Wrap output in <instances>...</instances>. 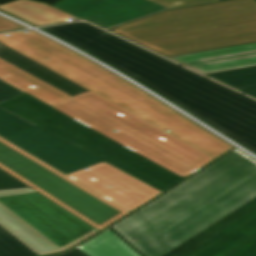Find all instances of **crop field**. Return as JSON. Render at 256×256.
Here are the masks:
<instances>
[{
    "mask_svg": "<svg viewBox=\"0 0 256 256\" xmlns=\"http://www.w3.org/2000/svg\"><path fill=\"white\" fill-rule=\"evenodd\" d=\"M0 78L26 92L0 108L35 125L4 139L65 175L104 161L163 192L214 160L90 91L71 98L2 59Z\"/></svg>",
    "mask_w": 256,
    "mask_h": 256,
    "instance_id": "obj_1",
    "label": "crop field"
},
{
    "mask_svg": "<svg viewBox=\"0 0 256 256\" xmlns=\"http://www.w3.org/2000/svg\"><path fill=\"white\" fill-rule=\"evenodd\" d=\"M255 196L256 161L235 149L111 228L162 256Z\"/></svg>",
    "mask_w": 256,
    "mask_h": 256,
    "instance_id": "obj_2",
    "label": "crop field"
},
{
    "mask_svg": "<svg viewBox=\"0 0 256 256\" xmlns=\"http://www.w3.org/2000/svg\"><path fill=\"white\" fill-rule=\"evenodd\" d=\"M27 31L30 33H7L10 37L1 34L0 42L157 128L172 132L170 135L214 159L234 147L94 62L32 30Z\"/></svg>",
    "mask_w": 256,
    "mask_h": 256,
    "instance_id": "obj_3",
    "label": "crop field"
},
{
    "mask_svg": "<svg viewBox=\"0 0 256 256\" xmlns=\"http://www.w3.org/2000/svg\"><path fill=\"white\" fill-rule=\"evenodd\" d=\"M238 143L256 134V101L170 61L136 77Z\"/></svg>",
    "mask_w": 256,
    "mask_h": 256,
    "instance_id": "obj_4",
    "label": "crop field"
},
{
    "mask_svg": "<svg viewBox=\"0 0 256 256\" xmlns=\"http://www.w3.org/2000/svg\"><path fill=\"white\" fill-rule=\"evenodd\" d=\"M0 225L38 255L62 252L100 232L30 188L0 190Z\"/></svg>",
    "mask_w": 256,
    "mask_h": 256,
    "instance_id": "obj_5",
    "label": "crop field"
},
{
    "mask_svg": "<svg viewBox=\"0 0 256 256\" xmlns=\"http://www.w3.org/2000/svg\"><path fill=\"white\" fill-rule=\"evenodd\" d=\"M0 169L100 231L129 214L1 137Z\"/></svg>",
    "mask_w": 256,
    "mask_h": 256,
    "instance_id": "obj_6",
    "label": "crop field"
},
{
    "mask_svg": "<svg viewBox=\"0 0 256 256\" xmlns=\"http://www.w3.org/2000/svg\"><path fill=\"white\" fill-rule=\"evenodd\" d=\"M166 57L256 42V15L126 37Z\"/></svg>",
    "mask_w": 256,
    "mask_h": 256,
    "instance_id": "obj_7",
    "label": "crop field"
},
{
    "mask_svg": "<svg viewBox=\"0 0 256 256\" xmlns=\"http://www.w3.org/2000/svg\"><path fill=\"white\" fill-rule=\"evenodd\" d=\"M163 256H256V197Z\"/></svg>",
    "mask_w": 256,
    "mask_h": 256,
    "instance_id": "obj_8",
    "label": "crop field"
},
{
    "mask_svg": "<svg viewBox=\"0 0 256 256\" xmlns=\"http://www.w3.org/2000/svg\"><path fill=\"white\" fill-rule=\"evenodd\" d=\"M41 29L131 77L167 61L89 23L75 22Z\"/></svg>",
    "mask_w": 256,
    "mask_h": 256,
    "instance_id": "obj_9",
    "label": "crop field"
},
{
    "mask_svg": "<svg viewBox=\"0 0 256 256\" xmlns=\"http://www.w3.org/2000/svg\"><path fill=\"white\" fill-rule=\"evenodd\" d=\"M256 14V0H230L171 10L111 31L126 37Z\"/></svg>",
    "mask_w": 256,
    "mask_h": 256,
    "instance_id": "obj_10",
    "label": "crop field"
},
{
    "mask_svg": "<svg viewBox=\"0 0 256 256\" xmlns=\"http://www.w3.org/2000/svg\"><path fill=\"white\" fill-rule=\"evenodd\" d=\"M67 177L82 184L129 213L161 192L102 162ZM113 186L112 188H108Z\"/></svg>",
    "mask_w": 256,
    "mask_h": 256,
    "instance_id": "obj_11",
    "label": "crop field"
},
{
    "mask_svg": "<svg viewBox=\"0 0 256 256\" xmlns=\"http://www.w3.org/2000/svg\"><path fill=\"white\" fill-rule=\"evenodd\" d=\"M54 7L104 29L167 10L148 0H63Z\"/></svg>",
    "mask_w": 256,
    "mask_h": 256,
    "instance_id": "obj_12",
    "label": "crop field"
},
{
    "mask_svg": "<svg viewBox=\"0 0 256 256\" xmlns=\"http://www.w3.org/2000/svg\"><path fill=\"white\" fill-rule=\"evenodd\" d=\"M204 74L256 65V43L171 57Z\"/></svg>",
    "mask_w": 256,
    "mask_h": 256,
    "instance_id": "obj_13",
    "label": "crop field"
},
{
    "mask_svg": "<svg viewBox=\"0 0 256 256\" xmlns=\"http://www.w3.org/2000/svg\"><path fill=\"white\" fill-rule=\"evenodd\" d=\"M0 58L74 97L88 91L52 70L0 43Z\"/></svg>",
    "mask_w": 256,
    "mask_h": 256,
    "instance_id": "obj_14",
    "label": "crop field"
},
{
    "mask_svg": "<svg viewBox=\"0 0 256 256\" xmlns=\"http://www.w3.org/2000/svg\"><path fill=\"white\" fill-rule=\"evenodd\" d=\"M0 9L36 26L66 22L70 21L69 18L79 20L45 3L31 0H19L0 6Z\"/></svg>",
    "mask_w": 256,
    "mask_h": 256,
    "instance_id": "obj_15",
    "label": "crop field"
},
{
    "mask_svg": "<svg viewBox=\"0 0 256 256\" xmlns=\"http://www.w3.org/2000/svg\"><path fill=\"white\" fill-rule=\"evenodd\" d=\"M78 248L89 256H140L110 229Z\"/></svg>",
    "mask_w": 256,
    "mask_h": 256,
    "instance_id": "obj_16",
    "label": "crop field"
},
{
    "mask_svg": "<svg viewBox=\"0 0 256 256\" xmlns=\"http://www.w3.org/2000/svg\"><path fill=\"white\" fill-rule=\"evenodd\" d=\"M207 75L235 88L256 86V66Z\"/></svg>",
    "mask_w": 256,
    "mask_h": 256,
    "instance_id": "obj_17",
    "label": "crop field"
},
{
    "mask_svg": "<svg viewBox=\"0 0 256 256\" xmlns=\"http://www.w3.org/2000/svg\"><path fill=\"white\" fill-rule=\"evenodd\" d=\"M0 256H38L0 226Z\"/></svg>",
    "mask_w": 256,
    "mask_h": 256,
    "instance_id": "obj_18",
    "label": "crop field"
},
{
    "mask_svg": "<svg viewBox=\"0 0 256 256\" xmlns=\"http://www.w3.org/2000/svg\"><path fill=\"white\" fill-rule=\"evenodd\" d=\"M30 126L33 125L0 109V136L4 137Z\"/></svg>",
    "mask_w": 256,
    "mask_h": 256,
    "instance_id": "obj_19",
    "label": "crop field"
},
{
    "mask_svg": "<svg viewBox=\"0 0 256 256\" xmlns=\"http://www.w3.org/2000/svg\"><path fill=\"white\" fill-rule=\"evenodd\" d=\"M150 1L155 2L167 9H171V8L183 7V6L206 3V2L217 1V0H150Z\"/></svg>",
    "mask_w": 256,
    "mask_h": 256,
    "instance_id": "obj_20",
    "label": "crop field"
},
{
    "mask_svg": "<svg viewBox=\"0 0 256 256\" xmlns=\"http://www.w3.org/2000/svg\"><path fill=\"white\" fill-rule=\"evenodd\" d=\"M28 187L19 180L13 178L7 173L0 170V189L23 188Z\"/></svg>",
    "mask_w": 256,
    "mask_h": 256,
    "instance_id": "obj_21",
    "label": "crop field"
},
{
    "mask_svg": "<svg viewBox=\"0 0 256 256\" xmlns=\"http://www.w3.org/2000/svg\"><path fill=\"white\" fill-rule=\"evenodd\" d=\"M21 94L23 93L0 80V103Z\"/></svg>",
    "mask_w": 256,
    "mask_h": 256,
    "instance_id": "obj_22",
    "label": "crop field"
},
{
    "mask_svg": "<svg viewBox=\"0 0 256 256\" xmlns=\"http://www.w3.org/2000/svg\"><path fill=\"white\" fill-rule=\"evenodd\" d=\"M25 29V27L0 17V32Z\"/></svg>",
    "mask_w": 256,
    "mask_h": 256,
    "instance_id": "obj_23",
    "label": "crop field"
},
{
    "mask_svg": "<svg viewBox=\"0 0 256 256\" xmlns=\"http://www.w3.org/2000/svg\"><path fill=\"white\" fill-rule=\"evenodd\" d=\"M241 145L245 146L249 150H251L254 153H256V135L253 136L252 138H250L249 140H247L246 142H244Z\"/></svg>",
    "mask_w": 256,
    "mask_h": 256,
    "instance_id": "obj_24",
    "label": "crop field"
},
{
    "mask_svg": "<svg viewBox=\"0 0 256 256\" xmlns=\"http://www.w3.org/2000/svg\"><path fill=\"white\" fill-rule=\"evenodd\" d=\"M62 256H87V255L77 248L76 250Z\"/></svg>",
    "mask_w": 256,
    "mask_h": 256,
    "instance_id": "obj_25",
    "label": "crop field"
},
{
    "mask_svg": "<svg viewBox=\"0 0 256 256\" xmlns=\"http://www.w3.org/2000/svg\"><path fill=\"white\" fill-rule=\"evenodd\" d=\"M240 90L256 97V87L244 88V89H240Z\"/></svg>",
    "mask_w": 256,
    "mask_h": 256,
    "instance_id": "obj_26",
    "label": "crop field"
}]
</instances>
